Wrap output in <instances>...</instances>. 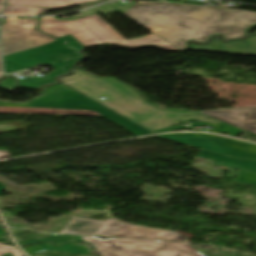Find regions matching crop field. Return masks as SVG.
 I'll return each instance as SVG.
<instances>
[{
    "mask_svg": "<svg viewBox=\"0 0 256 256\" xmlns=\"http://www.w3.org/2000/svg\"><path fill=\"white\" fill-rule=\"evenodd\" d=\"M5 3V0H0V4H4Z\"/></svg>",
    "mask_w": 256,
    "mask_h": 256,
    "instance_id": "obj_24",
    "label": "crop field"
},
{
    "mask_svg": "<svg viewBox=\"0 0 256 256\" xmlns=\"http://www.w3.org/2000/svg\"><path fill=\"white\" fill-rule=\"evenodd\" d=\"M14 83H15L14 78H10L2 87H0V89L13 92L15 89L18 88L14 85Z\"/></svg>",
    "mask_w": 256,
    "mask_h": 256,
    "instance_id": "obj_19",
    "label": "crop field"
},
{
    "mask_svg": "<svg viewBox=\"0 0 256 256\" xmlns=\"http://www.w3.org/2000/svg\"><path fill=\"white\" fill-rule=\"evenodd\" d=\"M104 256H203L190 244L118 239L100 240L82 236Z\"/></svg>",
    "mask_w": 256,
    "mask_h": 256,
    "instance_id": "obj_6",
    "label": "crop field"
},
{
    "mask_svg": "<svg viewBox=\"0 0 256 256\" xmlns=\"http://www.w3.org/2000/svg\"><path fill=\"white\" fill-rule=\"evenodd\" d=\"M121 227L122 225L110 222L98 235L112 237Z\"/></svg>",
    "mask_w": 256,
    "mask_h": 256,
    "instance_id": "obj_17",
    "label": "crop field"
},
{
    "mask_svg": "<svg viewBox=\"0 0 256 256\" xmlns=\"http://www.w3.org/2000/svg\"><path fill=\"white\" fill-rule=\"evenodd\" d=\"M46 94L27 105H2L0 113L14 114H75L105 117L139 135L151 134L134 123L86 98L63 83L42 91Z\"/></svg>",
    "mask_w": 256,
    "mask_h": 256,
    "instance_id": "obj_3",
    "label": "crop field"
},
{
    "mask_svg": "<svg viewBox=\"0 0 256 256\" xmlns=\"http://www.w3.org/2000/svg\"><path fill=\"white\" fill-rule=\"evenodd\" d=\"M82 46L70 36L46 46L4 57L5 73L24 70L36 64L52 65L54 72L37 78L19 79V85L39 88L42 84L55 83V77L69 73L76 61L85 58L80 52Z\"/></svg>",
    "mask_w": 256,
    "mask_h": 256,
    "instance_id": "obj_5",
    "label": "crop field"
},
{
    "mask_svg": "<svg viewBox=\"0 0 256 256\" xmlns=\"http://www.w3.org/2000/svg\"><path fill=\"white\" fill-rule=\"evenodd\" d=\"M4 188H5V186L2 185V184H0V193H1V191H2Z\"/></svg>",
    "mask_w": 256,
    "mask_h": 256,
    "instance_id": "obj_22",
    "label": "crop field"
},
{
    "mask_svg": "<svg viewBox=\"0 0 256 256\" xmlns=\"http://www.w3.org/2000/svg\"><path fill=\"white\" fill-rule=\"evenodd\" d=\"M47 8L6 6L3 15H38L43 14Z\"/></svg>",
    "mask_w": 256,
    "mask_h": 256,
    "instance_id": "obj_15",
    "label": "crop field"
},
{
    "mask_svg": "<svg viewBox=\"0 0 256 256\" xmlns=\"http://www.w3.org/2000/svg\"><path fill=\"white\" fill-rule=\"evenodd\" d=\"M58 79L150 131L179 124L189 118L221 123L199 113L161 111L144 102L138 92L114 79H99L78 70H74L72 76ZM101 97L106 100L102 101Z\"/></svg>",
    "mask_w": 256,
    "mask_h": 256,
    "instance_id": "obj_2",
    "label": "crop field"
},
{
    "mask_svg": "<svg viewBox=\"0 0 256 256\" xmlns=\"http://www.w3.org/2000/svg\"><path fill=\"white\" fill-rule=\"evenodd\" d=\"M37 20L38 18L18 19V17H8L1 29L4 56L43 46L56 40L35 30Z\"/></svg>",
    "mask_w": 256,
    "mask_h": 256,
    "instance_id": "obj_7",
    "label": "crop field"
},
{
    "mask_svg": "<svg viewBox=\"0 0 256 256\" xmlns=\"http://www.w3.org/2000/svg\"><path fill=\"white\" fill-rule=\"evenodd\" d=\"M199 113L256 134V107L226 108Z\"/></svg>",
    "mask_w": 256,
    "mask_h": 256,
    "instance_id": "obj_9",
    "label": "crop field"
},
{
    "mask_svg": "<svg viewBox=\"0 0 256 256\" xmlns=\"http://www.w3.org/2000/svg\"><path fill=\"white\" fill-rule=\"evenodd\" d=\"M108 222L74 217L61 233L97 235Z\"/></svg>",
    "mask_w": 256,
    "mask_h": 256,
    "instance_id": "obj_13",
    "label": "crop field"
},
{
    "mask_svg": "<svg viewBox=\"0 0 256 256\" xmlns=\"http://www.w3.org/2000/svg\"><path fill=\"white\" fill-rule=\"evenodd\" d=\"M5 237V230H3L1 227H0V238H4Z\"/></svg>",
    "mask_w": 256,
    "mask_h": 256,
    "instance_id": "obj_21",
    "label": "crop field"
},
{
    "mask_svg": "<svg viewBox=\"0 0 256 256\" xmlns=\"http://www.w3.org/2000/svg\"><path fill=\"white\" fill-rule=\"evenodd\" d=\"M192 50H212L226 53L256 55V36H253L244 41H235L229 44L220 43L219 39L215 38L214 41L208 46L193 45Z\"/></svg>",
    "mask_w": 256,
    "mask_h": 256,
    "instance_id": "obj_12",
    "label": "crop field"
},
{
    "mask_svg": "<svg viewBox=\"0 0 256 256\" xmlns=\"http://www.w3.org/2000/svg\"><path fill=\"white\" fill-rule=\"evenodd\" d=\"M12 252L14 256H24L18 249L15 247H6L3 245H0V256L4 253Z\"/></svg>",
    "mask_w": 256,
    "mask_h": 256,
    "instance_id": "obj_18",
    "label": "crop field"
},
{
    "mask_svg": "<svg viewBox=\"0 0 256 256\" xmlns=\"http://www.w3.org/2000/svg\"><path fill=\"white\" fill-rule=\"evenodd\" d=\"M88 1L93 0H10L8 4L46 6L57 9Z\"/></svg>",
    "mask_w": 256,
    "mask_h": 256,
    "instance_id": "obj_14",
    "label": "crop field"
},
{
    "mask_svg": "<svg viewBox=\"0 0 256 256\" xmlns=\"http://www.w3.org/2000/svg\"><path fill=\"white\" fill-rule=\"evenodd\" d=\"M0 70H2V64H1V52H0Z\"/></svg>",
    "mask_w": 256,
    "mask_h": 256,
    "instance_id": "obj_23",
    "label": "crop field"
},
{
    "mask_svg": "<svg viewBox=\"0 0 256 256\" xmlns=\"http://www.w3.org/2000/svg\"><path fill=\"white\" fill-rule=\"evenodd\" d=\"M178 142L241 159L256 160V145L234 139L208 134H162L157 135Z\"/></svg>",
    "mask_w": 256,
    "mask_h": 256,
    "instance_id": "obj_8",
    "label": "crop field"
},
{
    "mask_svg": "<svg viewBox=\"0 0 256 256\" xmlns=\"http://www.w3.org/2000/svg\"><path fill=\"white\" fill-rule=\"evenodd\" d=\"M125 14L180 50L187 49V40L207 42L216 33L224 40L246 37L256 23V12L163 2L140 1Z\"/></svg>",
    "mask_w": 256,
    "mask_h": 256,
    "instance_id": "obj_1",
    "label": "crop field"
},
{
    "mask_svg": "<svg viewBox=\"0 0 256 256\" xmlns=\"http://www.w3.org/2000/svg\"><path fill=\"white\" fill-rule=\"evenodd\" d=\"M197 248H204L207 251L204 256H254L242 252L225 251L221 247L209 245H195Z\"/></svg>",
    "mask_w": 256,
    "mask_h": 256,
    "instance_id": "obj_16",
    "label": "crop field"
},
{
    "mask_svg": "<svg viewBox=\"0 0 256 256\" xmlns=\"http://www.w3.org/2000/svg\"><path fill=\"white\" fill-rule=\"evenodd\" d=\"M198 156L214 159L216 160L217 165L241 169L235 181L256 185V162L237 160L204 150H202Z\"/></svg>",
    "mask_w": 256,
    "mask_h": 256,
    "instance_id": "obj_11",
    "label": "crop field"
},
{
    "mask_svg": "<svg viewBox=\"0 0 256 256\" xmlns=\"http://www.w3.org/2000/svg\"><path fill=\"white\" fill-rule=\"evenodd\" d=\"M115 222L124 226L113 237L188 243V238H177L179 234L175 232L129 225L119 221Z\"/></svg>",
    "mask_w": 256,
    "mask_h": 256,
    "instance_id": "obj_10",
    "label": "crop field"
},
{
    "mask_svg": "<svg viewBox=\"0 0 256 256\" xmlns=\"http://www.w3.org/2000/svg\"><path fill=\"white\" fill-rule=\"evenodd\" d=\"M9 157L7 151H0V159L7 158Z\"/></svg>",
    "mask_w": 256,
    "mask_h": 256,
    "instance_id": "obj_20",
    "label": "crop field"
},
{
    "mask_svg": "<svg viewBox=\"0 0 256 256\" xmlns=\"http://www.w3.org/2000/svg\"><path fill=\"white\" fill-rule=\"evenodd\" d=\"M38 29L55 38L72 35L85 47L111 43L124 47L154 45L168 50H178L156 34L126 41L98 15L63 21L54 17L41 18Z\"/></svg>",
    "mask_w": 256,
    "mask_h": 256,
    "instance_id": "obj_4",
    "label": "crop field"
},
{
    "mask_svg": "<svg viewBox=\"0 0 256 256\" xmlns=\"http://www.w3.org/2000/svg\"><path fill=\"white\" fill-rule=\"evenodd\" d=\"M2 8H3V6H0V12H1Z\"/></svg>",
    "mask_w": 256,
    "mask_h": 256,
    "instance_id": "obj_26",
    "label": "crop field"
},
{
    "mask_svg": "<svg viewBox=\"0 0 256 256\" xmlns=\"http://www.w3.org/2000/svg\"><path fill=\"white\" fill-rule=\"evenodd\" d=\"M1 77H3V74H2V72H0V78H1Z\"/></svg>",
    "mask_w": 256,
    "mask_h": 256,
    "instance_id": "obj_25",
    "label": "crop field"
}]
</instances>
